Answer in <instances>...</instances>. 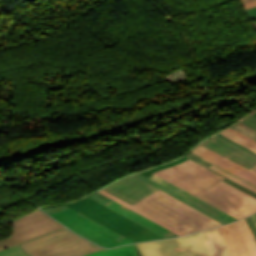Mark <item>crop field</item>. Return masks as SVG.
I'll return each instance as SVG.
<instances>
[{
    "mask_svg": "<svg viewBox=\"0 0 256 256\" xmlns=\"http://www.w3.org/2000/svg\"><path fill=\"white\" fill-rule=\"evenodd\" d=\"M133 206L186 234L222 225L160 189Z\"/></svg>",
    "mask_w": 256,
    "mask_h": 256,
    "instance_id": "crop-field-1",
    "label": "crop field"
},
{
    "mask_svg": "<svg viewBox=\"0 0 256 256\" xmlns=\"http://www.w3.org/2000/svg\"><path fill=\"white\" fill-rule=\"evenodd\" d=\"M29 256H80L103 249L74 234L59 230L19 245Z\"/></svg>",
    "mask_w": 256,
    "mask_h": 256,
    "instance_id": "crop-field-2",
    "label": "crop field"
},
{
    "mask_svg": "<svg viewBox=\"0 0 256 256\" xmlns=\"http://www.w3.org/2000/svg\"><path fill=\"white\" fill-rule=\"evenodd\" d=\"M66 206L81 212L135 242L162 238L88 197L78 202L66 204Z\"/></svg>",
    "mask_w": 256,
    "mask_h": 256,
    "instance_id": "crop-field-3",
    "label": "crop field"
},
{
    "mask_svg": "<svg viewBox=\"0 0 256 256\" xmlns=\"http://www.w3.org/2000/svg\"><path fill=\"white\" fill-rule=\"evenodd\" d=\"M154 174L174 183L195 196L225 179L191 160L168 169L160 170Z\"/></svg>",
    "mask_w": 256,
    "mask_h": 256,
    "instance_id": "crop-field-4",
    "label": "crop field"
},
{
    "mask_svg": "<svg viewBox=\"0 0 256 256\" xmlns=\"http://www.w3.org/2000/svg\"><path fill=\"white\" fill-rule=\"evenodd\" d=\"M51 215L71 230L101 246L112 247L133 243L71 208Z\"/></svg>",
    "mask_w": 256,
    "mask_h": 256,
    "instance_id": "crop-field-5",
    "label": "crop field"
},
{
    "mask_svg": "<svg viewBox=\"0 0 256 256\" xmlns=\"http://www.w3.org/2000/svg\"><path fill=\"white\" fill-rule=\"evenodd\" d=\"M197 197L238 219L256 212L254 197L223 181Z\"/></svg>",
    "mask_w": 256,
    "mask_h": 256,
    "instance_id": "crop-field-6",
    "label": "crop field"
},
{
    "mask_svg": "<svg viewBox=\"0 0 256 256\" xmlns=\"http://www.w3.org/2000/svg\"><path fill=\"white\" fill-rule=\"evenodd\" d=\"M137 246L142 256H210L201 232L180 238L140 243Z\"/></svg>",
    "mask_w": 256,
    "mask_h": 256,
    "instance_id": "crop-field-7",
    "label": "crop field"
},
{
    "mask_svg": "<svg viewBox=\"0 0 256 256\" xmlns=\"http://www.w3.org/2000/svg\"><path fill=\"white\" fill-rule=\"evenodd\" d=\"M64 228L63 225L39 209L13 221L10 238L0 241V249L33 239L49 232Z\"/></svg>",
    "mask_w": 256,
    "mask_h": 256,
    "instance_id": "crop-field-8",
    "label": "crop field"
},
{
    "mask_svg": "<svg viewBox=\"0 0 256 256\" xmlns=\"http://www.w3.org/2000/svg\"><path fill=\"white\" fill-rule=\"evenodd\" d=\"M103 189L133 205L159 188L131 175Z\"/></svg>",
    "mask_w": 256,
    "mask_h": 256,
    "instance_id": "crop-field-9",
    "label": "crop field"
},
{
    "mask_svg": "<svg viewBox=\"0 0 256 256\" xmlns=\"http://www.w3.org/2000/svg\"><path fill=\"white\" fill-rule=\"evenodd\" d=\"M200 144L239 163L248 169L256 164V157L254 155L242 150L241 148L216 135Z\"/></svg>",
    "mask_w": 256,
    "mask_h": 256,
    "instance_id": "crop-field-10",
    "label": "crop field"
},
{
    "mask_svg": "<svg viewBox=\"0 0 256 256\" xmlns=\"http://www.w3.org/2000/svg\"><path fill=\"white\" fill-rule=\"evenodd\" d=\"M107 207H109L110 209L116 211L117 213L143 225L144 227L150 229L151 231L165 237V238H169V237H176L178 235L174 234L173 232L165 229L164 227L158 225L157 223L147 219L146 217L114 202V201H109L105 204H103Z\"/></svg>",
    "mask_w": 256,
    "mask_h": 256,
    "instance_id": "crop-field-11",
    "label": "crop field"
},
{
    "mask_svg": "<svg viewBox=\"0 0 256 256\" xmlns=\"http://www.w3.org/2000/svg\"><path fill=\"white\" fill-rule=\"evenodd\" d=\"M221 228L231 256H252L236 222Z\"/></svg>",
    "mask_w": 256,
    "mask_h": 256,
    "instance_id": "crop-field-12",
    "label": "crop field"
},
{
    "mask_svg": "<svg viewBox=\"0 0 256 256\" xmlns=\"http://www.w3.org/2000/svg\"><path fill=\"white\" fill-rule=\"evenodd\" d=\"M202 233L211 256H230L220 227Z\"/></svg>",
    "mask_w": 256,
    "mask_h": 256,
    "instance_id": "crop-field-13",
    "label": "crop field"
},
{
    "mask_svg": "<svg viewBox=\"0 0 256 256\" xmlns=\"http://www.w3.org/2000/svg\"><path fill=\"white\" fill-rule=\"evenodd\" d=\"M148 178H150V179H152V180L162 184L163 186L173 190L174 192L182 195L183 197L193 201L194 203H196V204H198V205H200V206H202V207H204V208H206V209H208V210H210V211L220 215L221 217L225 218L226 220H228L230 222L237 220L234 217L224 213L223 211H221V210H219V209L209 205L208 203H206V202L196 198L195 196L189 194L188 192L182 190L181 188H179V187H177V186H175V185H173V184H171V183H169V182H167V181H165V180H163V179H161V178H159V177H157V176H155L153 174L151 176H149Z\"/></svg>",
    "mask_w": 256,
    "mask_h": 256,
    "instance_id": "crop-field-14",
    "label": "crop field"
},
{
    "mask_svg": "<svg viewBox=\"0 0 256 256\" xmlns=\"http://www.w3.org/2000/svg\"><path fill=\"white\" fill-rule=\"evenodd\" d=\"M212 163L238 175L239 177L249 181L250 183L256 185V174L249 171L248 169L222 157L218 156L212 161Z\"/></svg>",
    "mask_w": 256,
    "mask_h": 256,
    "instance_id": "crop-field-15",
    "label": "crop field"
},
{
    "mask_svg": "<svg viewBox=\"0 0 256 256\" xmlns=\"http://www.w3.org/2000/svg\"><path fill=\"white\" fill-rule=\"evenodd\" d=\"M135 175L138 176V177H140V178H142V179H144V180H146V181H148L149 183H151V184H153V185L159 187L160 189L166 191L167 193H169V194H171L172 196L178 198L179 200L183 201L184 203H186V204H188V205H190V206H192V207H194V208H196V209L202 211L203 213L209 215L210 217L216 219L217 221H219V222H221V223H223V224L229 223L228 221H226V220H224L223 218H221V217L215 215L214 213H212V212H210V211H208V210H206V209H204V208H202V207H200V206L194 204L193 202H191V201H189V200L183 198L182 196H180V195L174 193L173 191H171V190H169V189L163 187L162 185H160V184H158V183H156V182H154V181L148 179L147 177L143 176L142 174L138 173V174H135Z\"/></svg>",
    "mask_w": 256,
    "mask_h": 256,
    "instance_id": "crop-field-16",
    "label": "crop field"
},
{
    "mask_svg": "<svg viewBox=\"0 0 256 256\" xmlns=\"http://www.w3.org/2000/svg\"><path fill=\"white\" fill-rule=\"evenodd\" d=\"M84 256H138L136 245H127L114 249H104Z\"/></svg>",
    "mask_w": 256,
    "mask_h": 256,
    "instance_id": "crop-field-17",
    "label": "crop field"
},
{
    "mask_svg": "<svg viewBox=\"0 0 256 256\" xmlns=\"http://www.w3.org/2000/svg\"><path fill=\"white\" fill-rule=\"evenodd\" d=\"M197 163H199L200 165H202V166H204V167H206V168H208V169H210V170H212V171H214V172H216V173H218V174H220V175H222V176H224V177H226V178H228V179H230V180H232V181H234V182H236V183H238L256 193V186H254V185L250 184L249 182L211 164L210 162L203 159Z\"/></svg>",
    "mask_w": 256,
    "mask_h": 256,
    "instance_id": "crop-field-18",
    "label": "crop field"
},
{
    "mask_svg": "<svg viewBox=\"0 0 256 256\" xmlns=\"http://www.w3.org/2000/svg\"><path fill=\"white\" fill-rule=\"evenodd\" d=\"M98 192H100V193L106 195L107 197H109V198H111V199H113V200H115V201H117V202H119V203H121V204H123V205H125V206H127V207H129V208H131V209H133V210H135V211H137L138 213H140V214L146 216L147 218H149V219H151V220L157 222L158 224H160V225H162V226L168 228L169 230H171V231L177 233L179 236H180V235H184L182 232H180V231L174 229L173 227L167 225L166 223H164V222H162V221H160V220H158V219H156V218L150 216L149 214H147V213H145V212H143V211H141V210H139V209L133 207L132 205H130V204H128L127 202H125V201H123V200H121V199H119V198H117V197L111 195L110 193L106 192V191L103 190V189L99 190Z\"/></svg>",
    "mask_w": 256,
    "mask_h": 256,
    "instance_id": "crop-field-19",
    "label": "crop field"
},
{
    "mask_svg": "<svg viewBox=\"0 0 256 256\" xmlns=\"http://www.w3.org/2000/svg\"><path fill=\"white\" fill-rule=\"evenodd\" d=\"M237 223L246 239V242H247L253 256H256V242H255V239H254L248 225L246 224L244 219L238 221Z\"/></svg>",
    "mask_w": 256,
    "mask_h": 256,
    "instance_id": "crop-field-20",
    "label": "crop field"
},
{
    "mask_svg": "<svg viewBox=\"0 0 256 256\" xmlns=\"http://www.w3.org/2000/svg\"><path fill=\"white\" fill-rule=\"evenodd\" d=\"M235 131H237L238 133L256 141V131H254L253 129L241 124V123H236L233 126L229 127Z\"/></svg>",
    "mask_w": 256,
    "mask_h": 256,
    "instance_id": "crop-field-21",
    "label": "crop field"
},
{
    "mask_svg": "<svg viewBox=\"0 0 256 256\" xmlns=\"http://www.w3.org/2000/svg\"><path fill=\"white\" fill-rule=\"evenodd\" d=\"M221 134H223L226 137L234 140L235 142L241 144L242 146H244V147H246V148L256 152V145H254V144L244 140L243 138H241V137H239V136H237V135H235V134H233V133H231V132H229L227 130L221 132Z\"/></svg>",
    "mask_w": 256,
    "mask_h": 256,
    "instance_id": "crop-field-22",
    "label": "crop field"
},
{
    "mask_svg": "<svg viewBox=\"0 0 256 256\" xmlns=\"http://www.w3.org/2000/svg\"><path fill=\"white\" fill-rule=\"evenodd\" d=\"M191 152L203 157L204 159L208 160V161H212L214 158H216L218 156V154L210 151L209 149L203 147L202 145H198L194 150H192Z\"/></svg>",
    "mask_w": 256,
    "mask_h": 256,
    "instance_id": "crop-field-23",
    "label": "crop field"
},
{
    "mask_svg": "<svg viewBox=\"0 0 256 256\" xmlns=\"http://www.w3.org/2000/svg\"><path fill=\"white\" fill-rule=\"evenodd\" d=\"M0 256H27L19 247L14 246L0 251Z\"/></svg>",
    "mask_w": 256,
    "mask_h": 256,
    "instance_id": "crop-field-24",
    "label": "crop field"
},
{
    "mask_svg": "<svg viewBox=\"0 0 256 256\" xmlns=\"http://www.w3.org/2000/svg\"><path fill=\"white\" fill-rule=\"evenodd\" d=\"M188 158H186L185 156L174 161V162H171V163H168V164H165V165H161V166H158V167H155V168H152V169H149V171H151L152 173L157 171V170H160V169H164V168H168V167H171L173 165H176V164H179V163H182L184 161H186Z\"/></svg>",
    "mask_w": 256,
    "mask_h": 256,
    "instance_id": "crop-field-25",
    "label": "crop field"
},
{
    "mask_svg": "<svg viewBox=\"0 0 256 256\" xmlns=\"http://www.w3.org/2000/svg\"><path fill=\"white\" fill-rule=\"evenodd\" d=\"M251 128H253L254 130H256V116L255 115H250L249 117L239 121Z\"/></svg>",
    "mask_w": 256,
    "mask_h": 256,
    "instance_id": "crop-field-26",
    "label": "crop field"
},
{
    "mask_svg": "<svg viewBox=\"0 0 256 256\" xmlns=\"http://www.w3.org/2000/svg\"><path fill=\"white\" fill-rule=\"evenodd\" d=\"M88 197L92 198L93 200H95V201H97V202H99L101 204H103V203L107 202L108 200H110L109 198L99 194L98 192H96L93 195H90Z\"/></svg>",
    "mask_w": 256,
    "mask_h": 256,
    "instance_id": "crop-field-27",
    "label": "crop field"
},
{
    "mask_svg": "<svg viewBox=\"0 0 256 256\" xmlns=\"http://www.w3.org/2000/svg\"><path fill=\"white\" fill-rule=\"evenodd\" d=\"M68 207L64 206V205H59V206H53V207H48V208H42L44 211H46L47 213L51 214L53 212L59 211V210H63L66 209Z\"/></svg>",
    "mask_w": 256,
    "mask_h": 256,
    "instance_id": "crop-field-28",
    "label": "crop field"
},
{
    "mask_svg": "<svg viewBox=\"0 0 256 256\" xmlns=\"http://www.w3.org/2000/svg\"><path fill=\"white\" fill-rule=\"evenodd\" d=\"M245 221L249 225V227H250V229H251V231H252V233H253V235H254V237L256 239V227H255L251 217L249 216V217L245 218Z\"/></svg>",
    "mask_w": 256,
    "mask_h": 256,
    "instance_id": "crop-field-29",
    "label": "crop field"
},
{
    "mask_svg": "<svg viewBox=\"0 0 256 256\" xmlns=\"http://www.w3.org/2000/svg\"><path fill=\"white\" fill-rule=\"evenodd\" d=\"M224 181L229 183V184H231V185H233V186H235L236 188H238V189H240V190H242V191H244V192L254 196L256 198V194L255 193H253V192H251V191H249V190H247V189H245V188H243V187H241V186H239V185H237V184H235V183H233V182H231V181H229L227 179L224 180Z\"/></svg>",
    "mask_w": 256,
    "mask_h": 256,
    "instance_id": "crop-field-30",
    "label": "crop field"
},
{
    "mask_svg": "<svg viewBox=\"0 0 256 256\" xmlns=\"http://www.w3.org/2000/svg\"><path fill=\"white\" fill-rule=\"evenodd\" d=\"M245 11H246L250 20L256 18V8L245 10Z\"/></svg>",
    "mask_w": 256,
    "mask_h": 256,
    "instance_id": "crop-field-31",
    "label": "crop field"
},
{
    "mask_svg": "<svg viewBox=\"0 0 256 256\" xmlns=\"http://www.w3.org/2000/svg\"><path fill=\"white\" fill-rule=\"evenodd\" d=\"M185 156H187L188 158H190L191 160H193V161H195V162H197V161H199V160H201L202 158H200L199 156H197V155H195V154H193V153H188L187 155H185Z\"/></svg>",
    "mask_w": 256,
    "mask_h": 256,
    "instance_id": "crop-field-32",
    "label": "crop field"
},
{
    "mask_svg": "<svg viewBox=\"0 0 256 256\" xmlns=\"http://www.w3.org/2000/svg\"><path fill=\"white\" fill-rule=\"evenodd\" d=\"M217 135H219V136H221V137L225 138L226 140H228V141H230V142L234 143L235 145H237V146L241 147L242 149H244V150H246V151H248V152H250V153H252V154L256 155V153H254V152H252V151H250V150H248V149H246V148L242 147L241 145H239V144H237V143L233 142L232 140H230V139L226 138L225 136H223V135H221V134H219V133H218Z\"/></svg>",
    "mask_w": 256,
    "mask_h": 256,
    "instance_id": "crop-field-33",
    "label": "crop field"
},
{
    "mask_svg": "<svg viewBox=\"0 0 256 256\" xmlns=\"http://www.w3.org/2000/svg\"><path fill=\"white\" fill-rule=\"evenodd\" d=\"M245 9L256 7V2L243 4Z\"/></svg>",
    "mask_w": 256,
    "mask_h": 256,
    "instance_id": "crop-field-34",
    "label": "crop field"
},
{
    "mask_svg": "<svg viewBox=\"0 0 256 256\" xmlns=\"http://www.w3.org/2000/svg\"><path fill=\"white\" fill-rule=\"evenodd\" d=\"M228 130H230V131H232L233 133H235V134H237V135H239V136H241V137L245 138L246 140H248V141H250V142H252V143L256 144L255 142H253V141H251V140L247 139L246 137H244V136H242V135L238 134L237 132H235V131H233V130H231V129H229V128H228Z\"/></svg>",
    "mask_w": 256,
    "mask_h": 256,
    "instance_id": "crop-field-35",
    "label": "crop field"
},
{
    "mask_svg": "<svg viewBox=\"0 0 256 256\" xmlns=\"http://www.w3.org/2000/svg\"><path fill=\"white\" fill-rule=\"evenodd\" d=\"M141 173H142L143 175L147 176V177L152 174V173L149 172L148 170L143 171V172H141Z\"/></svg>",
    "mask_w": 256,
    "mask_h": 256,
    "instance_id": "crop-field-36",
    "label": "crop field"
},
{
    "mask_svg": "<svg viewBox=\"0 0 256 256\" xmlns=\"http://www.w3.org/2000/svg\"><path fill=\"white\" fill-rule=\"evenodd\" d=\"M242 1V4L243 3H246V2H252V1H256V0H241Z\"/></svg>",
    "mask_w": 256,
    "mask_h": 256,
    "instance_id": "crop-field-37",
    "label": "crop field"
},
{
    "mask_svg": "<svg viewBox=\"0 0 256 256\" xmlns=\"http://www.w3.org/2000/svg\"><path fill=\"white\" fill-rule=\"evenodd\" d=\"M250 170H252V171L256 172V165H255V166H253Z\"/></svg>",
    "mask_w": 256,
    "mask_h": 256,
    "instance_id": "crop-field-38",
    "label": "crop field"
},
{
    "mask_svg": "<svg viewBox=\"0 0 256 256\" xmlns=\"http://www.w3.org/2000/svg\"><path fill=\"white\" fill-rule=\"evenodd\" d=\"M252 218H253V220H254V222H255V224H256V215H255V214L252 215Z\"/></svg>",
    "mask_w": 256,
    "mask_h": 256,
    "instance_id": "crop-field-39",
    "label": "crop field"
},
{
    "mask_svg": "<svg viewBox=\"0 0 256 256\" xmlns=\"http://www.w3.org/2000/svg\"><path fill=\"white\" fill-rule=\"evenodd\" d=\"M253 114H255V115H256V112H255V113H253Z\"/></svg>",
    "mask_w": 256,
    "mask_h": 256,
    "instance_id": "crop-field-40",
    "label": "crop field"
}]
</instances>
